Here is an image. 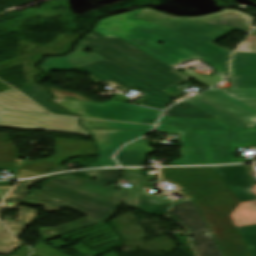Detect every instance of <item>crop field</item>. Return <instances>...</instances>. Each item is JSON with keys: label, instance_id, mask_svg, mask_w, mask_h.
<instances>
[{"label": "crop field", "instance_id": "17", "mask_svg": "<svg viewBox=\"0 0 256 256\" xmlns=\"http://www.w3.org/2000/svg\"><path fill=\"white\" fill-rule=\"evenodd\" d=\"M231 66L233 88H256V54L235 53Z\"/></svg>", "mask_w": 256, "mask_h": 256}, {"label": "crop field", "instance_id": "22", "mask_svg": "<svg viewBox=\"0 0 256 256\" xmlns=\"http://www.w3.org/2000/svg\"><path fill=\"white\" fill-rule=\"evenodd\" d=\"M17 89L21 91L23 94H25L26 96H28L29 98H31L33 101L38 103L40 106L48 110L50 113L60 114V115H69L63 109L46 101V99L51 96L48 93H46L45 87L39 86L38 84L34 83V84L27 85Z\"/></svg>", "mask_w": 256, "mask_h": 256}, {"label": "crop field", "instance_id": "15", "mask_svg": "<svg viewBox=\"0 0 256 256\" xmlns=\"http://www.w3.org/2000/svg\"><path fill=\"white\" fill-rule=\"evenodd\" d=\"M30 115H33V117ZM39 122H43V124H38ZM77 123L78 119L73 118L6 110L0 112V127L23 130L40 129L89 135Z\"/></svg>", "mask_w": 256, "mask_h": 256}, {"label": "crop field", "instance_id": "31", "mask_svg": "<svg viewBox=\"0 0 256 256\" xmlns=\"http://www.w3.org/2000/svg\"><path fill=\"white\" fill-rule=\"evenodd\" d=\"M30 250L27 246H22L19 250H17L15 253L11 254L14 256H28Z\"/></svg>", "mask_w": 256, "mask_h": 256}, {"label": "crop field", "instance_id": "19", "mask_svg": "<svg viewBox=\"0 0 256 256\" xmlns=\"http://www.w3.org/2000/svg\"><path fill=\"white\" fill-rule=\"evenodd\" d=\"M153 149L147 145L146 139H141L122 148L116 159L121 166H143L147 154H152Z\"/></svg>", "mask_w": 256, "mask_h": 256}, {"label": "crop field", "instance_id": "30", "mask_svg": "<svg viewBox=\"0 0 256 256\" xmlns=\"http://www.w3.org/2000/svg\"><path fill=\"white\" fill-rule=\"evenodd\" d=\"M236 52L256 53V35H250V37L237 48Z\"/></svg>", "mask_w": 256, "mask_h": 256}, {"label": "crop field", "instance_id": "28", "mask_svg": "<svg viewBox=\"0 0 256 256\" xmlns=\"http://www.w3.org/2000/svg\"><path fill=\"white\" fill-rule=\"evenodd\" d=\"M182 73L208 88L219 83L221 80H223L221 77L217 75L204 79L190 70L184 71Z\"/></svg>", "mask_w": 256, "mask_h": 256}, {"label": "crop field", "instance_id": "6", "mask_svg": "<svg viewBox=\"0 0 256 256\" xmlns=\"http://www.w3.org/2000/svg\"><path fill=\"white\" fill-rule=\"evenodd\" d=\"M186 101L231 127L256 125V89H211Z\"/></svg>", "mask_w": 256, "mask_h": 256}, {"label": "crop field", "instance_id": "8", "mask_svg": "<svg viewBox=\"0 0 256 256\" xmlns=\"http://www.w3.org/2000/svg\"><path fill=\"white\" fill-rule=\"evenodd\" d=\"M55 153L44 160H36L30 164L18 161L19 153L10 142L9 135L0 134V170L15 171L23 169L16 178H28L37 176L65 161L67 159L96 155V150L91 142L72 141L54 138Z\"/></svg>", "mask_w": 256, "mask_h": 256}, {"label": "crop field", "instance_id": "7", "mask_svg": "<svg viewBox=\"0 0 256 256\" xmlns=\"http://www.w3.org/2000/svg\"><path fill=\"white\" fill-rule=\"evenodd\" d=\"M54 96L50 101L81 117L136 122L155 123L160 111L111 100L102 104L92 102L82 96L48 87Z\"/></svg>", "mask_w": 256, "mask_h": 256}, {"label": "crop field", "instance_id": "21", "mask_svg": "<svg viewBox=\"0 0 256 256\" xmlns=\"http://www.w3.org/2000/svg\"><path fill=\"white\" fill-rule=\"evenodd\" d=\"M146 185L144 182L139 209L151 215H166L171 201L151 195V188Z\"/></svg>", "mask_w": 256, "mask_h": 256}, {"label": "crop field", "instance_id": "36", "mask_svg": "<svg viewBox=\"0 0 256 256\" xmlns=\"http://www.w3.org/2000/svg\"><path fill=\"white\" fill-rule=\"evenodd\" d=\"M251 34H256V27L254 28Z\"/></svg>", "mask_w": 256, "mask_h": 256}, {"label": "crop field", "instance_id": "2", "mask_svg": "<svg viewBox=\"0 0 256 256\" xmlns=\"http://www.w3.org/2000/svg\"><path fill=\"white\" fill-rule=\"evenodd\" d=\"M97 182L73 176L52 179L43 190L29 194L25 204L42 205L46 212L68 208L88 217L51 229L41 228L44 241L110 219L118 207L119 190L106 187L119 181V170L85 173ZM36 200H33V199Z\"/></svg>", "mask_w": 256, "mask_h": 256}, {"label": "crop field", "instance_id": "26", "mask_svg": "<svg viewBox=\"0 0 256 256\" xmlns=\"http://www.w3.org/2000/svg\"><path fill=\"white\" fill-rule=\"evenodd\" d=\"M20 244L22 243L8 233L0 223V253L8 254Z\"/></svg>", "mask_w": 256, "mask_h": 256}, {"label": "crop field", "instance_id": "14", "mask_svg": "<svg viewBox=\"0 0 256 256\" xmlns=\"http://www.w3.org/2000/svg\"><path fill=\"white\" fill-rule=\"evenodd\" d=\"M169 216L188 228L198 256H224L191 198L174 202Z\"/></svg>", "mask_w": 256, "mask_h": 256}, {"label": "crop field", "instance_id": "29", "mask_svg": "<svg viewBox=\"0 0 256 256\" xmlns=\"http://www.w3.org/2000/svg\"><path fill=\"white\" fill-rule=\"evenodd\" d=\"M31 256H67L38 241Z\"/></svg>", "mask_w": 256, "mask_h": 256}, {"label": "crop field", "instance_id": "35", "mask_svg": "<svg viewBox=\"0 0 256 256\" xmlns=\"http://www.w3.org/2000/svg\"><path fill=\"white\" fill-rule=\"evenodd\" d=\"M7 90H11V88L0 82V93Z\"/></svg>", "mask_w": 256, "mask_h": 256}, {"label": "crop field", "instance_id": "23", "mask_svg": "<svg viewBox=\"0 0 256 256\" xmlns=\"http://www.w3.org/2000/svg\"><path fill=\"white\" fill-rule=\"evenodd\" d=\"M164 115L185 118H215L185 101L169 108Z\"/></svg>", "mask_w": 256, "mask_h": 256}, {"label": "crop field", "instance_id": "37", "mask_svg": "<svg viewBox=\"0 0 256 256\" xmlns=\"http://www.w3.org/2000/svg\"><path fill=\"white\" fill-rule=\"evenodd\" d=\"M143 123H145V122H143ZM146 124H151V123H146Z\"/></svg>", "mask_w": 256, "mask_h": 256}, {"label": "crop field", "instance_id": "18", "mask_svg": "<svg viewBox=\"0 0 256 256\" xmlns=\"http://www.w3.org/2000/svg\"><path fill=\"white\" fill-rule=\"evenodd\" d=\"M85 49L87 48L78 44L75 50L69 55L59 58H47L45 59L44 63L40 65L41 69L44 71H67L73 70L83 65L105 60L104 58H102L94 52L88 54L83 53L82 51Z\"/></svg>", "mask_w": 256, "mask_h": 256}, {"label": "crop field", "instance_id": "34", "mask_svg": "<svg viewBox=\"0 0 256 256\" xmlns=\"http://www.w3.org/2000/svg\"><path fill=\"white\" fill-rule=\"evenodd\" d=\"M65 170H68V169L66 167L60 165V166H58V167H56V168H54V169H52V170H50L46 173H43L41 175H45V174H49V173H53V172H58V171H65Z\"/></svg>", "mask_w": 256, "mask_h": 256}, {"label": "crop field", "instance_id": "9", "mask_svg": "<svg viewBox=\"0 0 256 256\" xmlns=\"http://www.w3.org/2000/svg\"><path fill=\"white\" fill-rule=\"evenodd\" d=\"M213 168L241 202L231 216L251 254L256 256V186L243 165Z\"/></svg>", "mask_w": 256, "mask_h": 256}, {"label": "crop field", "instance_id": "38", "mask_svg": "<svg viewBox=\"0 0 256 256\" xmlns=\"http://www.w3.org/2000/svg\"><path fill=\"white\" fill-rule=\"evenodd\" d=\"M256 127V126H255Z\"/></svg>", "mask_w": 256, "mask_h": 256}, {"label": "crop field", "instance_id": "11", "mask_svg": "<svg viewBox=\"0 0 256 256\" xmlns=\"http://www.w3.org/2000/svg\"><path fill=\"white\" fill-rule=\"evenodd\" d=\"M84 125L94 136L100 151V159L95 161L87 168L101 166H117L111 159L114 152L124 143L137 139L149 132L153 126L124 124L113 122H102L82 119ZM100 129H126V130H145V131H125V130H99Z\"/></svg>", "mask_w": 256, "mask_h": 256}, {"label": "crop field", "instance_id": "16", "mask_svg": "<svg viewBox=\"0 0 256 256\" xmlns=\"http://www.w3.org/2000/svg\"><path fill=\"white\" fill-rule=\"evenodd\" d=\"M78 35L58 34L56 39L48 45H35L19 42V49L14 59L0 63V71L18 65H24L27 82L33 83V76L40 73L33 64L43 54H63L66 52L73 39Z\"/></svg>", "mask_w": 256, "mask_h": 256}, {"label": "crop field", "instance_id": "3", "mask_svg": "<svg viewBox=\"0 0 256 256\" xmlns=\"http://www.w3.org/2000/svg\"><path fill=\"white\" fill-rule=\"evenodd\" d=\"M161 179L177 183L196 200L227 256H252L237 230L222 225L240 202L212 167L161 168Z\"/></svg>", "mask_w": 256, "mask_h": 256}, {"label": "crop field", "instance_id": "25", "mask_svg": "<svg viewBox=\"0 0 256 256\" xmlns=\"http://www.w3.org/2000/svg\"><path fill=\"white\" fill-rule=\"evenodd\" d=\"M128 184L133 185L122 191L121 204L138 208L143 182L130 179Z\"/></svg>", "mask_w": 256, "mask_h": 256}, {"label": "crop field", "instance_id": "5", "mask_svg": "<svg viewBox=\"0 0 256 256\" xmlns=\"http://www.w3.org/2000/svg\"><path fill=\"white\" fill-rule=\"evenodd\" d=\"M136 17L211 44L233 30L248 33L252 27L251 18L237 10H224L198 18H176L154 10L145 9Z\"/></svg>", "mask_w": 256, "mask_h": 256}, {"label": "crop field", "instance_id": "4", "mask_svg": "<svg viewBox=\"0 0 256 256\" xmlns=\"http://www.w3.org/2000/svg\"><path fill=\"white\" fill-rule=\"evenodd\" d=\"M80 44L162 90L191 80L117 37L87 35Z\"/></svg>", "mask_w": 256, "mask_h": 256}, {"label": "crop field", "instance_id": "20", "mask_svg": "<svg viewBox=\"0 0 256 256\" xmlns=\"http://www.w3.org/2000/svg\"><path fill=\"white\" fill-rule=\"evenodd\" d=\"M5 109L47 114L14 90L0 94V111Z\"/></svg>", "mask_w": 256, "mask_h": 256}, {"label": "crop field", "instance_id": "10", "mask_svg": "<svg viewBox=\"0 0 256 256\" xmlns=\"http://www.w3.org/2000/svg\"><path fill=\"white\" fill-rule=\"evenodd\" d=\"M190 132L200 164L244 162L243 159H233L234 149L256 144V128Z\"/></svg>", "mask_w": 256, "mask_h": 256}, {"label": "crop field", "instance_id": "32", "mask_svg": "<svg viewBox=\"0 0 256 256\" xmlns=\"http://www.w3.org/2000/svg\"><path fill=\"white\" fill-rule=\"evenodd\" d=\"M123 175L143 180L144 176L135 172H129L123 170Z\"/></svg>", "mask_w": 256, "mask_h": 256}, {"label": "crop field", "instance_id": "24", "mask_svg": "<svg viewBox=\"0 0 256 256\" xmlns=\"http://www.w3.org/2000/svg\"><path fill=\"white\" fill-rule=\"evenodd\" d=\"M37 217L36 211L25 207H20L17 222H3L11 233L19 237L23 229L33 223Z\"/></svg>", "mask_w": 256, "mask_h": 256}, {"label": "crop field", "instance_id": "1", "mask_svg": "<svg viewBox=\"0 0 256 256\" xmlns=\"http://www.w3.org/2000/svg\"><path fill=\"white\" fill-rule=\"evenodd\" d=\"M142 10L102 19L94 31L117 36L170 67L197 58L228 76L231 51L133 17Z\"/></svg>", "mask_w": 256, "mask_h": 256}, {"label": "crop field", "instance_id": "33", "mask_svg": "<svg viewBox=\"0 0 256 256\" xmlns=\"http://www.w3.org/2000/svg\"><path fill=\"white\" fill-rule=\"evenodd\" d=\"M14 186L0 187V199L6 195Z\"/></svg>", "mask_w": 256, "mask_h": 256}, {"label": "crop field", "instance_id": "27", "mask_svg": "<svg viewBox=\"0 0 256 256\" xmlns=\"http://www.w3.org/2000/svg\"><path fill=\"white\" fill-rule=\"evenodd\" d=\"M48 177L40 178V179H35L31 181H22L18 184V186L3 200V201H20L24 202V199L26 195L30 191H26L34 182L42 179H46Z\"/></svg>", "mask_w": 256, "mask_h": 256}, {"label": "crop field", "instance_id": "12", "mask_svg": "<svg viewBox=\"0 0 256 256\" xmlns=\"http://www.w3.org/2000/svg\"><path fill=\"white\" fill-rule=\"evenodd\" d=\"M80 68L103 82L112 80L128 89H131L134 86L137 87L150 97L141 105L164 110L168 105L171 104L172 96L170 94L132 75L127 70L107 60Z\"/></svg>", "mask_w": 256, "mask_h": 256}, {"label": "crop field", "instance_id": "13", "mask_svg": "<svg viewBox=\"0 0 256 256\" xmlns=\"http://www.w3.org/2000/svg\"><path fill=\"white\" fill-rule=\"evenodd\" d=\"M230 126L218 119H185L162 116L160 125L153 131L179 133L182 159L172 165H199L189 130L229 131Z\"/></svg>", "mask_w": 256, "mask_h": 256}]
</instances>
